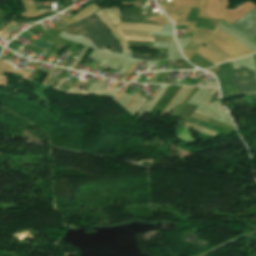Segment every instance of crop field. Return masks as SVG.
<instances>
[{
  "label": "crop field",
  "instance_id": "obj_1",
  "mask_svg": "<svg viewBox=\"0 0 256 256\" xmlns=\"http://www.w3.org/2000/svg\"><path fill=\"white\" fill-rule=\"evenodd\" d=\"M101 21H103L110 31L120 42L123 52L128 51V44L125 40H147L153 41V38H149L150 31L141 30H117L115 26L110 22L109 18L102 12L95 13Z\"/></svg>",
  "mask_w": 256,
  "mask_h": 256
},
{
  "label": "crop field",
  "instance_id": "obj_2",
  "mask_svg": "<svg viewBox=\"0 0 256 256\" xmlns=\"http://www.w3.org/2000/svg\"><path fill=\"white\" fill-rule=\"evenodd\" d=\"M76 28L80 31V33L88 37L89 40L99 49H104L109 47L112 52L116 50L111 46L102 32L95 26V24L90 20L89 17L85 18L84 20L74 23Z\"/></svg>",
  "mask_w": 256,
  "mask_h": 256
},
{
  "label": "crop field",
  "instance_id": "obj_3",
  "mask_svg": "<svg viewBox=\"0 0 256 256\" xmlns=\"http://www.w3.org/2000/svg\"><path fill=\"white\" fill-rule=\"evenodd\" d=\"M219 66H220V70L222 73V77H223V81L225 84L228 97L240 95L237 84H236V80L234 77V73L231 67V63L227 62V63L220 64Z\"/></svg>",
  "mask_w": 256,
  "mask_h": 256
},
{
  "label": "crop field",
  "instance_id": "obj_4",
  "mask_svg": "<svg viewBox=\"0 0 256 256\" xmlns=\"http://www.w3.org/2000/svg\"><path fill=\"white\" fill-rule=\"evenodd\" d=\"M232 24L252 37L256 34V8Z\"/></svg>",
  "mask_w": 256,
  "mask_h": 256
},
{
  "label": "crop field",
  "instance_id": "obj_5",
  "mask_svg": "<svg viewBox=\"0 0 256 256\" xmlns=\"http://www.w3.org/2000/svg\"><path fill=\"white\" fill-rule=\"evenodd\" d=\"M240 68H241L244 84L247 90V94L248 95L256 94V78L254 75V71L241 66Z\"/></svg>",
  "mask_w": 256,
  "mask_h": 256
},
{
  "label": "crop field",
  "instance_id": "obj_6",
  "mask_svg": "<svg viewBox=\"0 0 256 256\" xmlns=\"http://www.w3.org/2000/svg\"><path fill=\"white\" fill-rule=\"evenodd\" d=\"M122 9L124 10V15H122V22L142 23V15L140 11V9H143L142 6L126 7Z\"/></svg>",
  "mask_w": 256,
  "mask_h": 256
},
{
  "label": "crop field",
  "instance_id": "obj_7",
  "mask_svg": "<svg viewBox=\"0 0 256 256\" xmlns=\"http://www.w3.org/2000/svg\"><path fill=\"white\" fill-rule=\"evenodd\" d=\"M90 18L99 27V29L104 33V35L107 37V39L113 45V47L118 51V53H121L122 51L120 49V46H119L118 42L115 40V38L111 35L110 31L94 15L90 16Z\"/></svg>",
  "mask_w": 256,
  "mask_h": 256
},
{
  "label": "crop field",
  "instance_id": "obj_8",
  "mask_svg": "<svg viewBox=\"0 0 256 256\" xmlns=\"http://www.w3.org/2000/svg\"><path fill=\"white\" fill-rule=\"evenodd\" d=\"M107 16L111 19L112 22H120V8L119 7H113V8H107L103 9Z\"/></svg>",
  "mask_w": 256,
  "mask_h": 256
},
{
  "label": "crop field",
  "instance_id": "obj_9",
  "mask_svg": "<svg viewBox=\"0 0 256 256\" xmlns=\"http://www.w3.org/2000/svg\"><path fill=\"white\" fill-rule=\"evenodd\" d=\"M157 56H159V57H158V58H152V54H150V55H142V54H140V53L132 52V57L138 58V59L160 60V59L167 58V55H166V54H157Z\"/></svg>",
  "mask_w": 256,
  "mask_h": 256
},
{
  "label": "crop field",
  "instance_id": "obj_10",
  "mask_svg": "<svg viewBox=\"0 0 256 256\" xmlns=\"http://www.w3.org/2000/svg\"><path fill=\"white\" fill-rule=\"evenodd\" d=\"M185 127L194 128L197 131L203 132V133L211 135V136H213L216 133V131H213V130H210V129H207V128H204V127H201V126L189 123V122L186 123Z\"/></svg>",
  "mask_w": 256,
  "mask_h": 256
},
{
  "label": "crop field",
  "instance_id": "obj_11",
  "mask_svg": "<svg viewBox=\"0 0 256 256\" xmlns=\"http://www.w3.org/2000/svg\"><path fill=\"white\" fill-rule=\"evenodd\" d=\"M222 24H224L225 26L229 27L230 29H232L234 32H236L238 35H240L241 37H243L244 39H246L247 41H249L250 43H252L254 46H256V42L254 40H252L251 38H249L247 35H245L244 33H242L241 31H239L238 29L234 28L233 26H231L229 23H227L225 20H221Z\"/></svg>",
  "mask_w": 256,
  "mask_h": 256
},
{
  "label": "crop field",
  "instance_id": "obj_12",
  "mask_svg": "<svg viewBox=\"0 0 256 256\" xmlns=\"http://www.w3.org/2000/svg\"><path fill=\"white\" fill-rule=\"evenodd\" d=\"M234 72H235V75H236V79H237V83H238V86H239L240 94L241 95H247L246 91H245L244 84H243V80H242V77H241L240 69L234 70Z\"/></svg>",
  "mask_w": 256,
  "mask_h": 256
},
{
  "label": "crop field",
  "instance_id": "obj_13",
  "mask_svg": "<svg viewBox=\"0 0 256 256\" xmlns=\"http://www.w3.org/2000/svg\"><path fill=\"white\" fill-rule=\"evenodd\" d=\"M117 29H145V30H151V31H158L160 32L161 29L157 28H140V27H131V26H116Z\"/></svg>",
  "mask_w": 256,
  "mask_h": 256
},
{
  "label": "crop field",
  "instance_id": "obj_14",
  "mask_svg": "<svg viewBox=\"0 0 256 256\" xmlns=\"http://www.w3.org/2000/svg\"><path fill=\"white\" fill-rule=\"evenodd\" d=\"M114 25H131V26H144V27H157L161 28L162 26L157 25H145V24H133V23H113Z\"/></svg>",
  "mask_w": 256,
  "mask_h": 256
},
{
  "label": "crop field",
  "instance_id": "obj_15",
  "mask_svg": "<svg viewBox=\"0 0 256 256\" xmlns=\"http://www.w3.org/2000/svg\"><path fill=\"white\" fill-rule=\"evenodd\" d=\"M216 72H217L218 79H219V82H220V86H221V90H222V96H223V98H225L227 96H226V92H225V88H224V84H223V81H222L220 70L216 71Z\"/></svg>",
  "mask_w": 256,
  "mask_h": 256
},
{
  "label": "crop field",
  "instance_id": "obj_16",
  "mask_svg": "<svg viewBox=\"0 0 256 256\" xmlns=\"http://www.w3.org/2000/svg\"><path fill=\"white\" fill-rule=\"evenodd\" d=\"M98 9H99V8H97V7L94 8V9H92V10L89 11L88 13H86V14H84V15H82V16L77 17V20H79V19H81V18H83V17H85V16H87V15H89V14H92V13L96 12Z\"/></svg>",
  "mask_w": 256,
  "mask_h": 256
},
{
  "label": "crop field",
  "instance_id": "obj_17",
  "mask_svg": "<svg viewBox=\"0 0 256 256\" xmlns=\"http://www.w3.org/2000/svg\"><path fill=\"white\" fill-rule=\"evenodd\" d=\"M35 44H37V45H39V46H41V47H43L45 49L50 46V45H48V44H46V43H44V42H42L40 40L36 41Z\"/></svg>",
  "mask_w": 256,
  "mask_h": 256
},
{
  "label": "crop field",
  "instance_id": "obj_18",
  "mask_svg": "<svg viewBox=\"0 0 256 256\" xmlns=\"http://www.w3.org/2000/svg\"><path fill=\"white\" fill-rule=\"evenodd\" d=\"M7 47L10 48V49H12V50L15 51V52L19 49L18 46L13 45V44H11V43H9Z\"/></svg>",
  "mask_w": 256,
  "mask_h": 256
},
{
  "label": "crop field",
  "instance_id": "obj_19",
  "mask_svg": "<svg viewBox=\"0 0 256 256\" xmlns=\"http://www.w3.org/2000/svg\"><path fill=\"white\" fill-rule=\"evenodd\" d=\"M32 34H30L28 31L23 32L20 36H22L23 38H28L29 36H31Z\"/></svg>",
  "mask_w": 256,
  "mask_h": 256
},
{
  "label": "crop field",
  "instance_id": "obj_20",
  "mask_svg": "<svg viewBox=\"0 0 256 256\" xmlns=\"http://www.w3.org/2000/svg\"><path fill=\"white\" fill-rule=\"evenodd\" d=\"M55 49V44L52 46V48L50 49V51L47 53V55L44 57V60H46L50 54L53 52V50Z\"/></svg>",
  "mask_w": 256,
  "mask_h": 256
},
{
  "label": "crop field",
  "instance_id": "obj_21",
  "mask_svg": "<svg viewBox=\"0 0 256 256\" xmlns=\"http://www.w3.org/2000/svg\"><path fill=\"white\" fill-rule=\"evenodd\" d=\"M252 38H254V39L256 40V35H255V36H253Z\"/></svg>",
  "mask_w": 256,
  "mask_h": 256
}]
</instances>
